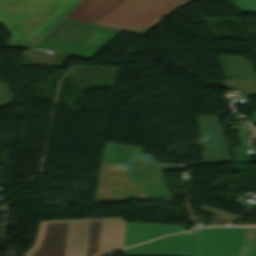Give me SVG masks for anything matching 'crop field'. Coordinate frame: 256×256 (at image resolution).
<instances>
[{"label":"crop field","mask_w":256,"mask_h":256,"mask_svg":"<svg viewBox=\"0 0 256 256\" xmlns=\"http://www.w3.org/2000/svg\"><path fill=\"white\" fill-rule=\"evenodd\" d=\"M120 1L0 0V23L12 33L9 45L31 48L64 17L90 23Z\"/></svg>","instance_id":"1"},{"label":"crop field","mask_w":256,"mask_h":256,"mask_svg":"<svg viewBox=\"0 0 256 256\" xmlns=\"http://www.w3.org/2000/svg\"><path fill=\"white\" fill-rule=\"evenodd\" d=\"M124 231L119 218L40 221L25 256H101L123 247Z\"/></svg>","instance_id":"2"},{"label":"crop field","mask_w":256,"mask_h":256,"mask_svg":"<svg viewBox=\"0 0 256 256\" xmlns=\"http://www.w3.org/2000/svg\"><path fill=\"white\" fill-rule=\"evenodd\" d=\"M202 132L204 161L186 165H157L141 148L106 142L101 161L118 163L132 183H138L147 199L172 198L162 183L161 170H179L200 163L231 162L216 116L197 117Z\"/></svg>","instance_id":"3"},{"label":"crop field","mask_w":256,"mask_h":256,"mask_svg":"<svg viewBox=\"0 0 256 256\" xmlns=\"http://www.w3.org/2000/svg\"><path fill=\"white\" fill-rule=\"evenodd\" d=\"M119 30L64 18L33 48L90 59Z\"/></svg>","instance_id":"4"},{"label":"crop field","mask_w":256,"mask_h":256,"mask_svg":"<svg viewBox=\"0 0 256 256\" xmlns=\"http://www.w3.org/2000/svg\"><path fill=\"white\" fill-rule=\"evenodd\" d=\"M191 0H125L94 24L145 35L173 9Z\"/></svg>","instance_id":"5"},{"label":"crop field","mask_w":256,"mask_h":256,"mask_svg":"<svg viewBox=\"0 0 256 256\" xmlns=\"http://www.w3.org/2000/svg\"><path fill=\"white\" fill-rule=\"evenodd\" d=\"M227 79L256 78L246 57L218 56Z\"/></svg>","instance_id":"6"},{"label":"crop field","mask_w":256,"mask_h":256,"mask_svg":"<svg viewBox=\"0 0 256 256\" xmlns=\"http://www.w3.org/2000/svg\"><path fill=\"white\" fill-rule=\"evenodd\" d=\"M227 81L230 88L244 90L245 95H256V79Z\"/></svg>","instance_id":"7"},{"label":"crop field","mask_w":256,"mask_h":256,"mask_svg":"<svg viewBox=\"0 0 256 256\" xmlns=\"http://www.w3.org/2000/svg\"><path fill=\"white\" fill-rule=\"evenodd\" d=\"M241 12L256 13V0H229Z\"/></svg>","instance_id":"8"},{"label":"crop field","mask_w":256,"mask_h":256,"mask_svg":"<svg viewBox=\"0 0 256 256\" xmlns=\"http://www.w3.org/2000/svg\"><path fill=\"white\" fill-rule=\"evenodd\" d=\"M239 135H240V138L242 140L244 148H239V149H234V150H235V153H236V156H237V159H238L239 163H248V161L251 157V154H247V150L249 148V145H248V142L245 141L246 137H245L244 133L239 134Z\"/></svg>","instance_id":"9"},{"label":"crop field","mask_w":256,"mask_h":256,"mask_svg":"<svg viewBox=\"0 0 256 256\" xmlns=\"http://www.w3.org/2000/svg\"><path fill=\"white\" fill-rule=\"evenodd\" d=\"M228 222H230V220H227V219H224V218H221V217L216 216V218L213 220V222L211 223V225H225V224H227ZM228 224H229V223H228Z\"/></svg>","instance_id":"10"}]
</instances>
